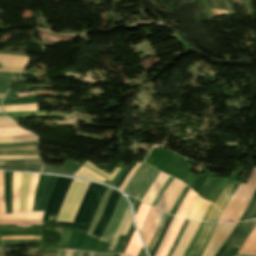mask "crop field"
I'll return each instance as SVG.
<instances>
[{"instance_id": "8a807250", "label": "crop field", "mask_w": 256, "mask_h": 256, "mask_svg": "<svg viewBox=\"0 0 256 256\" xmlns=\"http://www.w3.org/2000/svg\"><path fill=\"white\" fill-rule=\"evenodd\" d=\"M89 183L73 179L56 221L73 222Z\"/></svg>"}, {"instance_id": "ac0d7876", "label": "crop field", "mask_w": 256, "mask_h": 256, "mask_svg": "<svg viewBox=\"0 0 256 256\" xmlns=\"http://www.w3.org/2000/svg\"><path fill=\"white\" fill-rule=\"evenodd\" d=\"M105 190L106 187L104 186L94 183L90 184L77 214V217L74 221L77 223L85 224L82 231L87 232Z\"/></svg>"}, {"instance_id": "34b2d1b8", "label": "crop field", "mask_w": 256, "mask_h": 256, "mask_svg": "<svg viewBox=\"0 0 256 256\" xmlns=\"http://www.w3.org/2000/svg\"><path fill=\"white\" fill-rule=\"evenodd\" d=\"M72 179L58 177L52 189L43 220H56L57 213L61 207L65 193Z\"/></svg>"}, {"instance_id": "412701ff", "label": "crop field", "mask_w": 256, "mask_h": 256, "mask_svg": "<svg viewBox=\"0 0 256 256\" xmlns=\"http://www.w3.org/2000/svg\"><path fill=\"white\" fill-rule=\"evenodd\" d=\"M82 224L43 221L40 243L59 245L63 229L81 232Z\"/></svg>"}, {"instance_id": "f4fd0767", "label": "crop field", "mask_w": 256, "mask_h": 256, "mask_svg": "<svg viewBox=\"0 0 256 256\" xmlns=\"http://www.w3.org/2000/svg\"><path fill=\"white\" fill-rule=\"evenodd\" d=\"M217 224L200 223L183 256H200L211 238Z\"/></svg>"}, {"instance_id": "dd49c442", "label": "crop field", "mask_w": 256, "mask_h": 256, "mask_svg": "<svg viewBox=\"0 0 256 256\" xmlns=\"http://www.w3.org/2000/svg\"><path fill=\"white\" fill-rule=\"evenodd\" d=\"M24 158H39V157H38V155H35V156H0V159H24ZM0 165H12V166L40 168L41 162H40V159L0 160ZM12 166H0V169L32 171V172H39V170H40V169H35V168H23V167H12Z\"/></svg>"}, {"instance_id": "e52e79f7", "label": "crop field", "mask_w": 256, "mask_h": 256, "mask_svg": "<svg viewBox=\"0 0 256 256\" xmlns=\"http://www.w3.org/2000/svg\"><path fill=\"white\" fill-rule=\"evenodd\" d=\"M127 205L128 204H127L125 198H123L121 196V198L113 212L112 218L101 237V240L110 244V242L118 228V225L121 221V218L126 210Z\"/></svg>"}, {"instance_id": "d8731c3e", "label": "crop field", "mask_w": 256, "mask_h": 256, "mask_svg": "<svg viewBox=\"0 0 256 256\" xmlns=\"http://www.w3.org/2000/svg\"><path fill=\"white\" fill-rule=\"evenodd\" d=\"M233 224H218L204 254L202 256H214L215 252L227 238L234 227Z\"/></svg>"}, {"instance_id": "5a996713", "label": "crop field", "mask_w": 256, "mask_h": 256, "mask_svg": "<svg viewBox=\"0 0 256 256\" xmlns=\"http://www.w3.org/2000/svg\"><path fill=\"white\" fill-rule=\"evenodd\" d=\"M121 194H119L118 192L112 190L109 198H108V202L107 205L101 215V218L96 226V228L94 229L92 236L96 237V238H100L101 234L103 233L111 215L112 212L115 208L116 202L118 200V198L120 197Z\"/></svg>"}, {"instance_id": "3316defc", "label": "crop field", "mask_w": 256, "mask_h": 256, "mask_svg": "<svg viewBox=\"0 0 256 256\" xmlns=\"http://www.w3.org/2000/svg\"><path fill=\"white\" fill-rule=\"evenodd\" d=\"M255 224L256 220L244 223L240 231L237 233V235L234 237L231 243L227 246V248L224 250L221 256H226L233 247L240 248Z\"/></svg>"}, {"instance_id": "28ad6ade", "label": "crop field", "mask_w": 256, "mask_h": 256, "mask_svg": "<svg viewBox=\"0 0 256 256\" xmlns=\"http://www.w3.org/2000/svg\"><path fill=\"white\" fill-rule=\"evenodd\" d=\"M199 223L190 221L172 256H182Z\"/></svg>"}, {"instance_id": "d1516ede", "label": "crop field", "mask_w": 256, "mask_h": 256, "mask_svg": "<svg viewBox=\"0 0 256 256\" xmlns=\"http://www.w3.org/2000/svg\"><path fill=\"white\" fill-rule=\"evenodd\" d=\"M18 127L11 119L8 117L0 118V128H14ZM30 134L21 128L14 129H0V137L15 136V135H26Z\"/></svg>"}, {"instance_id": "22f410ed", "label": "crop field", "mask_w": 256, "mask_h": 256, "mask_svg": "<svg viewBox=\"0 0 256 256\" xmlns=\"http://www.w3.org/2000/svg\"><path fill=\"white\" fill-rule=\"evenodd\" d=\"M151 166H149L147 163H143L139 169L136 171V173L133 175L132 179L130 180L129 184L125 188L123 193L131 195V193L134 191V189L139 185V183L143 180L147 172L149 171Z\"/></svg>"}, {"instance_id": "cbeb9de0", "label": "crop field", "mask_w": 256, "mask_h": 256, "mask_svg": "<svg viewBox=\"0 0 256 256\" xmlns=\"http://www.w3.org/2000/svg\"><path fill=\"white\" fill-rule=\"evenodd\" d=\"M167 178H168V175H165L160 172V174L157 176V178L155 179L152 186L147 191V193L143 199V202L151 205L155 195L157 194L159 189L162 187V185L166 182Z\"/></svg>"}, {"instance_id": "5142ce71", "label": "crop field", "mask_w": 256, "mask_h": 256, "mask_svg": "<svg viewBox=\"0 0 256 256\" xmlns=\"http://www.w3.org/2000/svg\"><path fill=\"white\" fill-rule=\"evenodd\" d=\"M28 60L29 57L0 55V65L2 67L24 68Z\"/></svg>"}, {"instance_id": "d9b57169", "label": "crop field", "mask_w": 256, "mask_h": 256, "mask_svg": "<svg viewBox=\"0 0 256 256\" xmlns=\"http://www.w3.org/2000/svg\"><path fill=\"white\" fill-rule=\"evenodd\" d=\"M21 173L13 172L12 176V210L13 213H19V186Z\"/></svg>"}, {"instance_id": "733c2abd", "label": "crop field", "mask_w": 256, "mask_h": 256, "mask_svg": "<svg viewBox=\"0 0 256 256\" xmlns=\"http://www.w3.org/2000/svg\"><path fill=\"white\" fill-rule=\"evenodd\" d=\"M160 171L156 170L155 168L152 167V169L150 170V172L148 173V175L146 176V178L144 179V181L141 183V185L136 189V191L133 194V197L136 198L137 194L139 193L140 190L141 193L138 196L137 199L142 200L146 190L148 189V187L151 185V183L153 182V180L155 179V177L158 175ZM132 196V195H131Z\"/></svg>"}, {"instance_id": "4a817a6b", "label": "crop field", "mask_w": 256, "mask_h": 256, "mask_svg": "<svg viewBox=\"0 0 256 256\" xmlns=\"http://www.w3.org/2000/svg\"><path fill=\"white\" fill-rule=\"evenodd\" d=\"M238 253L256 255V225Z\"/></svg>"}, {"instance_id": "bc2a9ffb", "label": "crop field", "mask_w": 256, "mask_h": 256, "mask_svg": "<svg viewBox=\"0 0 256 256\" xmlns=\"http://www.w3.org/2000/svg\"><path fill=\"white\" fill-rule=\"evenodd\" d=\"M31 174L22 173L21 186H20V213L25 212L27 189L29 185Z\"/></svg>"}, {"instance_id": "214f88e0", "label": "crop field", "mask_w": 256, "mask_h": 256, "mask_svg": "<svg viewBox=\"0 0 256 256\" xmlns=\"http://www.w3.org/2000/svg\"><path fill=\"white\" fill-rule=\"evenodd\" d=\"M232 183H233V180L231 179L230 180V183L226 189L225 192H223L222 196L219 198V200L216 202V206L219 210H221L223 212L224 208L226 207V205L229 203V201L231 200L234 192L236 191V189L238 188L239 186V183H235L234 186H233V189L229 195V197L225 196V195H228L229 192H230V189H231V186H232Z\"/></svg>"}, {"instance_id": "92a150f3", "label": "crop field", "mask_w": 256, "mask_h": 256, "mask_svg": "<svg viewBox=\"0 0 256 256\" xmlns=\"http://www.w3.org/2000/svg\"><path fill=\"white\" fill-rule=\"evenodd\" d=\"M19 74L14 73H0V94L5 93L8 87L16 82Z\"/></svg>"}, {"instance_id": "dafd665d", "label": "crop field", "mask_w": 256, "mask_h": 256, "mask_svg": "<svg viewBox=\"0 0 256 256\" xmlns=\"http://www.w3.org/2000/svg\"><path fill=\"white\" fill-rule=\"evenodd\" d=\"M44 212H29L23 214L0 215V219H37L42 220Z\"/></svg>"}, {"instance_id": "00972430", "label": "crop field", "mask_w": 256, "mask_h": 256, "mask_svg": "<svg viewBox=\"0 0 256 256\" xmlns=\"http://www.w3.org/2000/svg\"><path fill=\"white\" fill-rule=\"evenodd\" d=\"M57 177L48 176L38 211H44L50 191Z\"/></svg>"}, {"instance_id": "a9b5d70f", "label": "crop field", "mask_w": 256, "mask_h": 256, "mask_svg": "<svg viewBox=\"0 0 256 256\" xmlns=\"http://www.w3.org/2000/svg\"><path fill=\"white\" fill-rule=\"evenodd\" d=\"M2 111L3 112L38 111V107H37V104L2 106Z\"/></svg>"}, {"instance_id": "4177f3b9", "label": "crop field", "mask_w": 256, "mask_h": 256, "mask_svg": "<svg viewBox=\"0 0 256 256\" xmlns=\"http://www.w3.org/2000/svg\"><path fill=\"white\" fill-rule=\"evenodd\" d=\"M23 149H37V147H24V148H4L0 151H15ZM38 154L37 150H24V151H15V152H0V155H35Z\"/></svg>"}, {"instance_id": "730fd06b", "label": "crop field", "mask_w": 256, "mask_h": 256, "mask_svg": "<svg viewBox=\"0 0 256 256\" xmlns=\"http://www.w3.org/2000/svg\"><path fill=\"white\" fill-rule=\"evenodd\" d=\"M221 213L210 203L201 221L218 222Z\"/></svg>"}, {"instance_id": "eef30255", "label": "crop field", "mask_w": 256, "mask_h": 256, "mask_svg": "<svg viewBox=\"0 0 256 256\" xmlns=\"http://www.w3.org/2000/svg\"><path fill=\"white\" fill-rule=\"evenodd\" d=\"M46 177L47 176H43V175H40V177H39L32 211H37L38 210V206H39L41 194H42V191H43V188H44V184H45V181H46Z\"/></svg>"}, {"instance_id": "ae1a2a85", "label": "crop field", "mask_w": 256, "mask_h": 256, "mask_svg": "<svg viewBox=\"0 0 256 256\" xmlns=\"http://www.w3.org/2000/svg\"><path fill=\"white\" fill-rule=\"evenodd\" d=\"M39 175L32 174L31 180H30V185L28 189V204H27V212L31 211L32 209V203H33V198H34V192L37 184Z\"/></svg>"}, {"instance_id": "d3111659", "label": "crop field", "mask_w": 256, "mask_h": 256, "mask_svg": "<svg viewBox=\"0 0 256 256\" xmlns=\"http://www.w3.org/2000/svg\"><path fill=\"white\" fill-rule=\"evenodd\" d=\"M110 192H111V189L107 188V190H106V192H105V194H104V197H103V199H102V202H101V204H100L99 210L97 211L96 216H95V219H94V221H93V223H92L90 229L88 230L87 234L91 235V233H92V231H93L95 225L97 224V222H98V220H99V217H100L101 212H102V210H103V208H104V206H105V204H106L107 197H108V195L110 194Z\"/></svg>"}, {"instance_id": "750c4746", "label": "crop field", "mask_w": 256, "mask_h": 256, "mask_svg": "<svg viewBox=\"0 0 256 256\" xmlns=\"http://www.w3.org/2000/svg\"><path fill=\"white\" fill-rule=\"evenodd\" d=\"M23 141H37V138L33 135L0 138V144L23 142Z\"/></svg>"}, {"instance_id": "bd1437ed", "label": "crop field", "mask_w": 256, "mask_h": 256, "mask_svg": "<svg viewBox=\"0 0 256 256\" xmlns=\"http://www.w3.org/2000/svg\"><path fill=\"white\" fill-rule=\"evenodd\" d=\"M41 172L73 176L74 172L63 168L44 165Z\"/></svg>"}, {"instance_id": "1d83c4d3", "label": "crop field", "mask_w": 256, "mask_h": 256, "mask_svg": "<svg viewBox=\"0 0 256 256\" xmlns=\"http://www.w3.org/2000/svg\"><path fill=\"white\" fill-rule=\"evenodd\" d=\"M3 246H15V245H30L39 243V240H13V241H1Z\"/></svg>"}, {"instance_id": "120bbe31", "label": "crop field", "mask_w": 256, "mask_h": 256, "mask_svg": "<svg viewBox=\"0 0 256 256\" xmlns=\"http://www.w3.org/2000/svg\"><path fill=\"white\" fill-rule=\"evenodd\" d=\"M243 225V223H237V225L235 226V228L233 229L231 235L228 237V239L223 243V245L220 247L219 251L217 252V254L215 256H220V254L223 252L224 248L227 246V244L232 240V238L236 235V233L238 232V230L241 228V226Z\"/></svg>"}, {"instance_id": "d32e631a", "label": "crop field", "mask_w": 256, "mask_h": 256, "mask_svg": "<svg viewBox=\"0 0 256 256\" xmlns=\"http://www.w3.org/2000/svg\"><path fill=\"white\" fill-rule=\"evenodd\" d=\"M171 219H172V216L168 215V217H167V219H166V221L164 223V226H163V228H162V230L160 232L159 238H158V240H157V242H156V244H155V246H154L150 256L154 255V253H155V251H156V249H157V247H158V245H159V243H160V241H161V239H162V237H163V235H164V233H165V231H166V229H167V227H168V225H169V223L171 221Z\"/></svg>"}, {"instance_id": "5866460e", "label": "crop field", "mask_w": 256, "mask_h": 256, "mask_svg": "<svg viewBox=\"0 0 256 256\" xmlns=\"http://www.w3.org/2000/svg\"><path fill=\"white\" fill-rule=\"evenodd\" d=\"M129 213H130V210H129V206H128V208H127V210H126V212L124 214V217H123V219H122V221H121V223L119 225V228H118V230L116 232L115 238H114V240H113V242L111 244L113 247L115 246V244H116V242H117V240H118V238H119V236H120V234L122 232V229H123V227L125 225V222L127 220V217L129 215Z\"/></svg>"}, {"instance_id": "028f5c9d", "label": "crop field", "mask_w": 256, "mask_h": 256, "mask_svg": "<svg viewBox=\"0 0 256 256\" xmlns=\"http://www.w3.org/2000/svg\"><path fill=\"white\" fill-rule=\"evenodd\" d=\"M42 221H36V220H1V224H18V223H32L35 225H41Z\"/></svg>"}, {"instance_id": "e1f06a70", "label": "crop field", "mask_w": 256, "mask_h": 256, "mask_svg": "<svg viewBox=\"0 0 256 256\" xmlns=\"http://www.w3.org/2000/svg\"><path fill=\"white\" fill-rule=\"evenodd\" d=\"M187 223H188V221L184 220V222H183V224H182V226H181V228H180V230H179V232H178V234H177V236H176V238L174 240V243H173V245H172V247H171V249H170V251H169L167 256H171V254H172L174 248L176 247V245H177V243H178V241H179V239H180V237H181V235H182V233H183Z\"/></svg>"}, {"instance_id": "0bd39190", "label": "crop field", "mask_w": 256, "mask_h": 256, "mask_svg": "<svg viewBox=\"0 0 256 256\" xmlns=\"http://www.w3.org/2000/svg\"><path fill=\"white\" fill-rule=\"evenodd\" d=\"M163 213H164V212L160 211L159 214H158V216H157V218H156V220H155L154 226H153V228H152V230H151L150 234L148 235V237H147V239H146V242H145L146 248L148 247V245H149V243H150V241H151V239H152V237H153V234H154V232H155V229H156V227H157V225H158V223H159V221H160V219H161Z\"/></svg>"}, {"instance_id": "b80d0937", "label": "crop field", "mask_w": 256, "mask_h": 256, "mask_svg": "<svg viewBox=\"0 0 256 256\" xmlns=\"http://www.w3.org/2000/svg\"><path fill=\"white\" fill-rule=\"evenodd\" d=\"M255 202H256V190H255V192H254V194H253L245 212L243 213L240 221L246 220V218H247L248 214L250 213L251 209L253 208Z\"/></svg>"}, {"instance_id": "c035e120", "label": "crop field", "mask_w": 256, "mask_h": 256, "mask_svg": "<svg viewBox=\"0 0 256 256\" xmlns=\"http://www.w3.org/2000/svg\"><path fill=\"white\" fill-rule=\"evenodd\" d=\"M188 189H189V188L186 186L185 189L182 191V193L180 194V196H179L178 199L176 200V202H175V204H174V206H173V208H172V210H171V212H170L171 214L175 215V213H176V211H177L179 205L181 204V202H182L184 196L186 195Z\"/></svg>"}, {"instance_id": "c21b1889", "label": "crop field", "mask_w": 256, "mask_h": 256, "mask_svg": "<svg viewBox=\"0 0 256 256\" xmlns=\"http://www.w3.org/2000/svg\"><path fill=\"white\" fill-rule=\"evenodd\" d=\"M166 217H167V214H164V216H163V218H162V220H161V222H160V224H159V226H158V228H157V230H156V232L154 234V237H153V239H152V241H151V243H150V245H149V247L147 249L149 253H150V251H151V249H152V247H153V245H154V243H155V241L157 239L159 231H160V229H161V227H162Z\"/></svg>"}, {"instance_id": "03da06ac", "label": "crop field", "mask_w": 256, "mask_h": 256, "mask_svg": "<svg viewBox=\"0 0 256 256\" xmlns=\"http://www.w3.org/2000/svg\"><path fill=\"white\" fill-rule=\"evenodd\" d=\"M37 142H23V143H15V144H5V145H0V148L4 147H23V146H33L36 145Z\"/></svg>"}, {"instance_id": "b54c1fbb", "label": "crop field", "mask_w": 256, "mask_h": 256, "mask_svg": "<svg viewBox=\"0 0 256 256\" xmlns=\"http://www.w3.org/2000/svg\"><path fill=\"white\" fill-rule=\"evenodd\" d=\"M173 179V177H169L167 182L165 183V185L162 187V189L159 191V193L156 195L153 203H152V206L155 207L156 203L158 202L159 198L161 197V195L163 194L164 190L166 189V187L168 186V184L171 182V180ZM173 181V180H172Z\"/></svg>"}, {"instance_id": "5d738f31", "label": "crop field", "mask_w": 256, "mask_h": 256, "mask_svg": "<svg viewBox=\"0 0 256 256\" xmlns=\"http://www.w3.org/2000/svg\"><path fill=\"white\" fill-rule=\"evenodd\" d=\"M136 163L135 162H132L128 168L126 169V171L124 172V174L121 176V178L119 179V181L116 183V187H119L120 184L123 182V180L125 179L127 173L130 171V169L135 165Z\"/></svg>"}, {"instance_id": "d23c7cc5", "label": "crop field", "mask_w": 256, "mask_h": 256, "mask_svg": "<svg viewBox=\"0 0 256 256\" xmlns=\"http://www.w3.org/2000/svg\"><path fill=\"white\" fill-rule=\"evenodd\" d=\"M1 240L5 239H40V236H23V237H0Z\"/></svg>"}, {"instance_id": "425ffa30", "label": "crop field", "mask_w": 256, "mask_h": 256, "mask_svg": "<svg viewBox=\"0 0 256 256\" xmlns=\"http://www.w3.org/2000/svg\"><path fill=\"white\" fill-rule=\"evenodd\" d=\"M84 165H86L87 167H89L90 169H92L93 171L105 176V177H108V174L98 170L94 165H92L90 162H86Z\"/></svg>"}, {"instance_id": "25e5ab78", "label": "crop field", "mask_w": 256, "mask_h": 256, "mask_svg": "<svg viewBox=\"0 0 256 256\" xmlns=\"http://www.w3.org/2000/svg\"><path fill=\"white\" fill-rule=\"evenodd\" d=\"M227 7H228V10H229V13L230 14H235V10H234V6L232 4V0H224Z\"/></svg>"}, {"instance_id": "73cf0c24", "label": "crop field", "mask_w": 256, "mask_h": 256, "mask_svg": "<svg viewBox=\"0 0 256 256\" xmlns=\"http://www.w3.org/2000/svg\"><path fill=\"white\" fill-rule=\"evenodd\" d=\"M46 112H27V113H5L8 116H14V115H25V114H45Z\"/></svg>"}, {"instance_id": "89e229c0", "label": "crop field", "mask_w": 256, "mask_h": 256, "mask_svg": "<svg viewBox=\"0 0 256 256\" xmlns=\"http://www.w3.org/2000/svg\"><path fill=\"white\" fill-rule=\"evenodd\" d=\"M255 218H256V204H255L253 210L251 211V213L249 214L247 220H249V219H255Z\"/></svg>"}, {"instance_id": "1f2cbd36", "label": "crop field", "mask_w": 256, "mask_h": 256, "mask_svg": "<svg viewBox=\"0 0 256 256\" xmlns=\"http://www.w3.org/2000/svg\"><path fill=\"white\" fill-rule=\"evenodd\" d=\"M114 254H106V253H91L90 256H113Z\"/></svg>"}, {"instance_id": "dbb93151", "label": "crop field", "mask_w": 256, "mask_h": 256, "mask_svg": "<svg viewBox=\"0 0 256 256\" xmlns=\"http://www.w3.org/2000/svg\"><path fill=\"white\" fill-rule=\"evenodd\" d=\"M119 171V168L115 167L114 171L112 172V174L110 175V177L108 178L109 181L111 182V180L114 178V176L116 175V173Z\"/></svg>"}, {"instance_id": "0fb4a251", "label": "crop field", "mask_w": 256, "mask_h": 256, "mask_svg": "<svg viewBox=\"0 0 256 256\" xmlns=\"http://www.w3.org/2000/svg\"><path fill=\"white\" fill-rule=\"evenodd\" d=\"M2 72H16V73H21L22 70H13V69H0Z\"/></svg>"}, {"instance_id": "1d79db26", "label": "crop field", "mask_w": 256, "mask_h": 256, "mask_svg": "<svg viewBox=\"0 0 256 256\" xmlns=\"http://www.w3.org/2000/svg\"><path fill=\"white\" fill-rule=\"evenodd\" d=\"M65 250H58L57 256H64Z\"/></svg>"}, {"instance_id": "9d1cf04e", "label": "crop field", "mask_w": 256, "mask_h": 256, "mask_svg": "<svg viewBox=\"0 0 256 256\" xmlns=\"http://www.w3.org/2000/svg\"><path fill=\"white\" fill-rule=\"evenodd\" d=\"M81 251L73 250V256H80Z\"/></svg>"}, {"instance_id": "447ae74e", "label": "crop field", "mask_w": 256, "mask_h": 256, "mask_svg": "<svg viewBox=\"0 0 256 256\" xmlns=\"http://www.w3.org/2000/svg\"><path fill=\"white\" fill-rule=\"evenodd\" d=\"M65 256H71V251L66 250Z\"/></svg>"}, {"instance_id": "0765c3eb", "label": "crop field", "mask_w": 256, "mask_h": 256, "mask_svg": "<svg viewBox=\"0 0 256 256\" xmlns=\"http://www.w3.org/2000/svg\"><path fill=\"white\" fill-rule=\"evenodd\" d=\"M88 254H89L88 252H84V251H83L82 254H81V256H88Z\"/></svg>"}, {"instance_id": "db79e9e6", "label": "crop field", "mask_w": 256, "mask_h": 256, "mask_svg": "<svg viewBox=\"0 0 256 256\" xmlns=\"http://www.w3.org/2000/svg\"><path fill=\"white\" fill-rule=\"evenodd\" d=\"M113 249H114V248H112V247H109V250H110V251H113Z\"/></svg>"}, {"instance_id": "7b73153f", "label": "crop field", "mask_w": 256, "mask_h": 256, "mask_svg": "<svg viewBox=\"0 0 256 256\" xmlns=\"http://www.w3.org/2000/svg\"><path fill=\"white\" fill-rule=\"evenodd\" d=\"M3 95H4V94L0 95V98H2V97H3Z\"/></svg>"}, {"instance_id": "78b8030e", "label": "crop field", "mask_w": 256, "mask_h": 256, "mask_svg": "<svg viewBox=\"0 0 256 256\" xmlns=\"http://www.w3.org/2000/svg\"><path fill=\"white\" fill-rule=\"evenodd\" d=\"M120 256H126V255H124V254H121Z\"/></svg>"}, {"instance_id": "0f1d7ab4", "label": "crop field", "mask_w": 256, "mask_h": 256, "mask_svg": "<svg viewBox=\"0 0 256 256\" xmlns=\"http://www.w3.org/2000/svg\"><path fill=\"white\" fill-rule=\"evenodd\" d=\"M114 256H119V254H115Z\"/></svg>"}, {"instance_id": "e1d0b9f6", "label": "crop field", "mask_w": 256, "mask_h": 256, "mask_svg": "<svg viewBox=\"0 0 256 256\" xmlns=\"http://www.w3.org/2000/svg\"><path fill=\"white\" fill-rule=\"evenodd\" d=\"M0 116H4V115L0 114Z\"/></svg>"}, {"instance_id": "ae633e8c", "label": "crop field", "mask_w": 256, "mask_h": 256, "mask_svg": "<svg viewBox=\"0 0 256 256\" xmlns=\"http://www.w3.org/2000/svg\"><path fill=\"white\" fill-rule=\"evenodd\" d=\"M0 102H1V99H0Z\"/></svg>"}, {"instance_id": "d14b1444", "label": "crop field", "mask_w": 256, "mask_h": 256, "mask_svg": "<svg viewBox=\"0 0 256 256\" xmlns=\"http://www.w3.org/2000/svg\"><path fill=\"white\" fill-rule=\"evenodd\" d=\"M1 112V111H0Z\"/></svg>"}]
</instances>
